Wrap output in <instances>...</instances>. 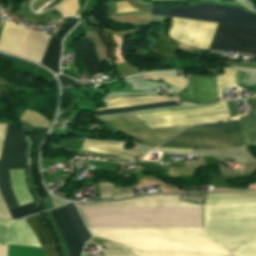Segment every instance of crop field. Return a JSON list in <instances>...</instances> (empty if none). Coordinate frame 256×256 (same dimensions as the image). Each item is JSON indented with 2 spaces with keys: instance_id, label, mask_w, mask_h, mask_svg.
Returning <instances> with one entry per match:
<instances>
[{
  "instance_id": "8a807250",
  "label": "crop field",
  "mask_w": 256,
  "mask_h": 256,
  "mask_svg": "<svg viewBox=\"0 0 256 256\" xmlns=\"http://www.w3.org/2000/svg\"><path fill=\"white\" fill-rule=\"evenodd\" d=\"M256 203V192L207 194L204 205ZM205 237L237 256H256V204L204 206Z\"/></svg>"
},
{
  "instance_id": "ac0d7876",
  "label": "crop field",
  "mask_w": 256,
  "mask_h": 256,
  "mask_svg": "<svg viewBox=\"0 0 256 256\" xmlns=\"http://www.w3.org/2000/svg\"><path fill=\"white\" fill-rule=\"evenodd\" d=\"M92 235L126 247L175 253L228 256L230 253L204 237V228H88ZM129 249L134 256H213L160 253Z\"/></svg>"
},
{
  "instance_id": "34b2d1b8",
  "label": "crop field",
  "mask_w": 256,
  "mask_h": 256,
  "mask_svg": "<svg viewBox=\"0 0 256 256\" xmlns=\"http://www.w3.org/2000/svg\"><path fill=\"white\" fill-rule=\"evenodd\" d=\"M81 209L90 227H201L200 207Z\"/></svg>"
},
{
  "instance_id": "412701ff",
  "label": "crop field",
  "mask_w": 256,
  "mask_h": 256,
  "mask_svg": "<svg viewBox=\"0 0 256 256\" xmlns=\"http://www.w3.org/2000/svg\"><path fill=\"white\" fill-rule=\"evenodd\" d=\"M23 155L24 144L18 127L15 123L8 122L0 158V196L7 209L32 202L27 192L24 170L9 171L19 205L8 172V170L23 169ZM1 201L0 218L11 219Z\"/></svg>"
},
{
  "instance_id": "f4fd0767",
  "label": "crop field",
  "mask_w": 256,
  "mask_h": 256,
  "mask_svg": "<svg viewBox=\"0 0 256 256\" xmlns=\"http://www.w3.org/2000/svg\"><path fill=\"white\" fill-rule=\"evenodd\" d=\"M240 129L238 120L223 123L191 126L176 137L159 147L192 148L213 147L225 148L238 146Z\"/></svg>"
},
{
  "instance_id": "dd49c442",
  "label": "crop field",
  "mask_w": 256,
  "mask_h": 256,
  "mask_svg": "<svg viewBox=\"0 0 256 256\" xmlns=\"http://www.w3.org/2000/svg\"><path fill=\"white\" fill-rule=\"evenodd\" d=\"M151 10L152 14L156 15L256 28V14L249 13L239 7L200 3L189 7L151 8Z\"/></svg>"
},
{
  "instance_id": "e52e79f7",
  "label": "crop field",
  "mask_w": 256,
  "mask_h": 256,
  "mask_svg": "<svg viewBox=\"0 0 256 256\" xmlns=\"http://www.w3.org/2000/svg\"><path fill=\"white\" fill-rule=\"evenodd\" d=\"M225 74L218 76V91L219 96L227 89L238 85L237 73L227 68ZM188 80V85L178 92L177 96L186 102L199 105H207L217 99V76H189L185 77Z\"/></svg>"
},
{
  "instance_id": "d8731c3e",
  "label": "crop field",
  "mask_w": 256,
  "mask_h": 256,
  "mask_svg": "<svg viewBox=\"0 0 256 256\" xmlns=\"http://www.w3.org/2000/svg\"><path fill=\"white\" fill-rule=\"evenodd\" d=\"M77 23V18H67L65 23L59 30L56 36L49 35L31 30L29 37L25 43L23 51L20 56L27 59L34 60L39 63L41 55L44 51L46 43L48 44L45 48L43 56L40 63L50 68L52 71H57L59 73V58H60V48L61 41L66 35V33ZM56 72V73H57Z\"/></svg>"
},
{
  "instance_id": "5a996713",
  "label": "crop field",
  "mask_w": 256,
  "mask_h": 256,
  "mask_svg": "<svg viewBox=\"0 0 256 256\" xmlns=\"http://www.w3.org/2000/svg\"><path fill=\"white\" fill-rule=\"evenodd\" d=\"M68 245L69 256H80L83 245L91 238L75 206L69 203L52 211Z\"/></svg>"
},
{
  "instance_id": "3316defc",
  "label": "crop field",
  "mask_w": 256,
  "mask_h": 256,
  "mask_svg": "<svg viewBox=\"0 0 256 256\" xmlns=\"http://www.w3.org/2000/svg\"><path fill=\"white\" fill-rule=\"evenodd\" d=\"M226 109L224 103H220L215 107L212 108H192V109H183V110H175V111H159V112H151V113H144V114H137L136 116L140 119L145 118H153V117H162V116H171V115H179V114H188V113H196V112H205V111H214V110H222ZM224 111V110H222ZM218 112V111H214ZM205 113H212V112H205ZM196 114H203V113H196ZM193 115V114H188ZM180 116H171V117H162V118H153V119H145L142 120L146 124H148L152 129L157 128H165V127H173V126H181V125H189V124H200L204 122H215L227 119L228 113L225 114H217V115H209V116H201V117H193V118H185L180 119Z\"/></svg>"
},
{
  "instance_id": "28ad6ade",
  "label": "crop field",
  "mask_w": 256,
  "mask_h": 256,
  "mask_svg": "<svg viewBox=\"0 0 256 256\" xmlns=\"http://www.w3.org/2000/svg\"><path fill=\"white\" fill-rule=\"evenodd\" d=\"M212 42L256 45V29L218 24ZM213 43L210 50L255 53L256 46ZM210 44V46H211Z\"/></svg>"
},
{
  "instance_id": "d1516ede",
  "label": "crop field",
  "mask_w": 256,
  "mask_h": 256,
  "mask_svg": "<svg viewBox=\"0 0 256 256\" xmlns=\"http://www.w3.org/2000/svg\"><path fill=\"white\" fill-rule=\"evenodd\" d=\"M170 18L172 21L170 37L180 42L208 49L217 24Z\"/></svg>"
},
{
  "instance_id": "22f410ed",
  "label": "crop field",
  "mask_w": 256,
  "mask_h": 256,
  "mask_svg": "<svg viewBox=\"0 0 256 256\" xmlns=\"http://www.w3.org/2000/svg\"><path fill=\"white\" fill-rule=\"evenodd\" d=\"M169 100L177 101V99L170 98V97L138 96V97L113 98L110 100H106L105 102L107 104V107H111V106H119V105H129V104H139V103H149V102H159V101H169ZM175 101L103 108V109H97L96 114L104 115V114L121 113V112L158 108V107H165V106H172V105H180Z\"/></svg>"
},
{
  "instance_id": "cbeb9de0",
  "label": "crop field",
  "mask_w": 256,
  "mask_h": 256,
  "mask_svg": "<svg viewBox=\"0 0 256 256\" xmlns=\"http://www.w3.org/2000/svg\"><path fill=\"white\" fill-rule=\"evenodd\" d=\"M180 195H152L109 203L78 204V207L199 206L178 201Z\"/></svg>"
},
{
  "instance_id": "5142ce71",
  "label": "crop field",
  "mask_w": 256,
  "mask_h": 256,
  "mask_svg": "<svg viewBox=\"0 0 256 256\" xmlns=\"http://www.w3.org/2000/svg\"><path fill=\"white\" fill-rule=\"evenodd\" d=\"M29 31L11 22H4L0 36V50L20 55Z\"/></svg>"
},
{
  "instance_id": "d9b57169",
  "label": "crop field",
  "mask_w": 256,
  "mask_h": 256,
  "mask_svg": "<svg viewBox=\"0 0 256 256\" xmlns=\"http://www.w3.org/2000/svg\"><path fill=\"white\" fill-rule=\"evenodd\" d=\"M8 244L41 247L24 219L11 222Z\"/></svg>"
},
{
  "instance_id": "733c2abd",
  "label": "crop field",
  "mask_w": 256,
  "mask_h": 256,
  "mask_svg": "<svg viewBox=\"0 0 256 256\" xmlns=\"http://www.w3.org/2000/svg\"><path fill=\"white\" fill-rule=\"evenodd\" d=\"M124 143L118 142H102V141H90L84 140L82 150L85 151H92V152H99L106 155L117 156L127 159H133L129 157H125L123 155L136 157L138 153L127 152L121 149Z\"/></svg>"
},
{
  "instance_id": "4a817a6b",
  "label": "crop field",
  "mask_w": 256,
  "mask_h": 256,
  "mask_svg": "<svg viewBox=\"0 0 256 256\" xmlns=\"http://www.w3.org/2000/svg\"><path fill=\"white\" fill-rule=\"evenodd\" d=\"M38 238L46 256H57L54 242L39 215L25 218Z\"/></svg>"
},
{
  "instance_id": "bc2a9ffb",
  "label": "crop field",
  "mask_w": 256,
  "mask_h": 256,
  "mask_svg": "<svg viewBox=\"0 0 256 256\" xmlns=\"http://www.w3.org/2000/svg\"><path fill=\"white\" fill-rule=\"evenodd\" d=\"M84 58L85 66H86V72L92 76L96 73H99L103 71L100 63L98 62L95 54H94V48L89 43L87 38L84 37L82 41L77 42Z\"/></svg>"
},
{
  "instance_id": "214f88e0",
  "label": "crop field",
  "mask_w": 256,
  "mask_h": 256,
  "mask_svg": "<svg viewBox=\"0 0 256 256\" xmlns=\"http://www.w3.org/2000/svg\"><path fill=\"white\" fill-rule=\"evenodd\" d=\"M240 119L242 140L247 144L256 145V107L253 113Z\"/></svg>"
},
{
  "instance_id": "92a150f3",
  "label": "crop field",
  "mask_w": 256,
  "mask_h": 256,
  "mask_svg": "<svg viewBox=\"0 0 256 256\" xmlns=\"http://www.w3.org/2000/svg\"><path fill=\"white\" fill-rule=\"evenodd\" d=\"M178 43L161 34L150 49L167 58H176Z\"/></svg>"
},
{
  "instance_id": "dafd665d",
  "label": "crop field",
  "mask_w": 256,
  "mask_h": 256,
  "mask_svg": "<svg viewBox=\"0 0 256 256\" xmlns=\"http://www.w3.org/2000/svg\"><path fill=\"white\" fill-rule=\"evenodd\" d=\"M102 247L106 248L102 249ZM100 248L105 256H132L126 248L113 242H107L100 245Z\"/></svg>"
},
{
  "instance_id": "00972430",
  "label": "crop field",
  "mask_w": 256,
  "mask_h": 256,
  "mask_svg": "<svg viewBox=\"0 0 256 256\" xmlns=\"http://www.w3.org/2000/svg\"><path fill=\"white\" fill-rule=\"evenodd\" d=\"M21 120L31 124L34 127H47L49 123V121H47L42 116L28 110H26V112L23 114Z\"/></svg>"
},
{
  "instance_id": "a9b5d70f",
  "label": "crop field",
  "mask_w": 256,
  "mask_h": 256,
  "mask_svg": "<svg viewBox=\"0 0 256 256\" xmlns=\"http://www.w3.org/2000/svg\"><path fill=\"white\" fill-rule=\"evenodd\" d=\"M11 216L13 219L16 218H20V217H24L33 213H36V209L34 204H28V205H24L18 208H14V209H10L9 210Z\"/></svg>"
},
{
  "instance_id": "4177f3b9",
  "label": "crop field",
  "mask_w": 256,
  "mask_h": 256,
  "mask_svg": "<svg viewBox=\"0 0 256 256\" xmlns=\"http://www.w3.org/2000/svg\"><path fill=\"white\" fill-rule=\"evenodd\" d=\"M93 29V28H92ZM96 33V35L98 36L99 40L101 41L104 49H105V52H106V56H107V59H112L113 57V52H112V42L110 40V38L108 37L107 34H104V33H101L99 30L97 29H93Z\"/></svg>"
},
{
  "instance_id": "730fd06b",
  "label": "crop field",
  "mask_w": 256,
  "mask_h": 256,
  "mask_svg": "<svg viewBox=\"0 0 256 256\" xmlns=\"http://www.w3.org/2000/svg\"><path fill=\"white\" fill-rule=\"evenodd\" d=\"M57 7L69 15H75L79 8V4L78 0H63Z\"/></svg>"
},
{
  "instance_id": "eef30255",
  "label": "crop field",
  "mask_w": 256,
  "mask_h": 256,
  "mask_svg": "<svg viewBox=\"0 0 256 256\" xmlns=\"http://www.w3.org/2000/svg\"><path fill=\"white\" fill-rule=\"evenodd\" d=\"M143 77L144 79H161L179 88L183 87V85L185 84L184 79H181V78H169V77L156 76L151 74H143Z\"/></svg>"
},
{
  "instance_id": "ae1a2a85",
  "label": "crop field",
  "mask_w": 256,
  "mask_h": 256,
  "mask_svg": "<svg viewBox=\"0 0 256 256\" xmlns=\"http://www.w3.org/2000/svg\"><path fill=\"white\" fill-rule=\"evenodd\" d=\"M98 186L102 198H111L113 185L109 183H98Z\"/></svg>"
},
{
  "instance_id": "d3111659",
  "label": "crop field",
  "mask_w": 256,
  "mask_h": 256,
  "mask_svg": "<svg viewBox=\"0 0 256 256\" xmlns=\"http://www.w3.org/2000/svg\"><path fill=\"white\" fill-rule=\"evenodd\" d=\"M0 226L9 228V222L0 220ZM3 227H0V243L7 245L9 229Z\"/></svg>"
},
{
  "instance_id": "750c4746",
  "label": "crop field",
  "mask_w": 256,
  "mask_h": 256,
  "mask_svg": "<svg viewBox=\"0 0 256 256\" xmlns=\"http://www.w3.org/2000/svg\"><path fill=\"white\" fill-rule=\"evenodd\" d=\"M192 149H166V148H155L153 151H166L174 153L190 154Z\"/></svg>"
},
{
  "instance_id": "bd1437ed",
  "label": "crop field",
  "mask_w": 256,
  "mask_h": 256,
  "mask_svg": "<svg viewBox=\"0 0 256 256\" xmlns=\"http://www.w3.org/2000/svg\"><path fill=\"white\" fill-rule=\"evenodd\" d=\"M127 195H133L130 188L118 189V190H115L114 198L121 197V196H127Z\"/></svg>"
},
{
  "instance_id": "1d83c4d3",
  "label": "crop field",
  "mask_w": 256,
  "mask_h": 256,
  "mask_svg": "<svg viewBox=\"0 0 256 256\" xmlns=\"http://www.w3.org/2000/svg\"><path fill=\"white\" fill-rule=\"evenodd\" d=\"M58 78L60 80V83L65 86L71 87L75 83L74 81H72L64 76H61V75H59Z\"/></svg>"
},
{
  "instance_id": "120bbe31",
  "label": "crop field",
  "mask_w": 256,
  "mask_h": 256,
  "mask_svg": "<svg viewBox=\"0 0 256 256\" xmlns=\"http://www.w3.org/2000/svg\"><path fill=\"white\" fill-rule=\"evenodd\" d=\"M224 63H228L230 65H235V66H243V67H249V68L256 69V63H232V62H224Z\"/></svg>"
},
{
  "instance_id": "d32e631a",
  "label": "crop field",
  "mask_w": 256,
  "mask_h": 256,
  "mask_svg": "<svg viewBox=\"0 0 256 256\" xmlns=\"http://www.w3.org/2000/svg\"><path fill=\"white\" fill-rule=\"evenodd\" d=\"M6 124H0V136L3 137ZM3 138H0V153L2 148Z\"/></svg>"
},
{
  "instance_id": "5866460e",
  "label": "crop field",
  "mask_w": 256,
  "mask_h": 256,
  "mask_svg": "<svg viewBox=\"0 0 256 256\" xmlns=\"http://www.w3.org/2000/svg\"><path fill=\"white\" fill-rule=\"evenodd\" d=\"M51 197V200H52V203H53V206L54 207H56V206H58V205H60V204H65L66 202H64V201H59V200H57L56 198H54V197H52V196H50Z\"/></svg>"
},
{
  "instance_id": "028f5c9d",
  "label": "crop field",
  "mask_w": 256,
  "mask_h": 256,
  "mask_svg": "<svg viewBox=\"0 0 256 256\" xmlns=\"http://www.w3.org/2000/svg\"><path fill=\"white\" fill-rule=\"evenodd\" d=\"M7 247L0 245V256H6Z\"/></svg>"
},
{
  "instance_id": "e1f06a70",
  "label": "crop field",
  "mask_w": 256,
  "mask_h": 256,
  "mask_svg": "<svg viewBox=\"0 0 256 256\" xmlns=\"http://www.w3.org/2000/svg\"><path fill=\"white\" fill-rule=\"evenodd\" d=\"M225 1H229V2H235V0H225Z\"/></svg>"
},
{
  "instance_id": "0bd39190",
  "label": "crop field",
  "mask_w": 256,
  "mask_h": 256,
  "mask_svg": "<svg viewBox=\"0 0 256 256\" xmlns=\"http://www.w3.org/2000/svg\"><path fill=\"white\" fill-rule=\"evenodd\" d=\"M230 256H235V255L230 254Z\"/></svg>"
}]
</instances>
